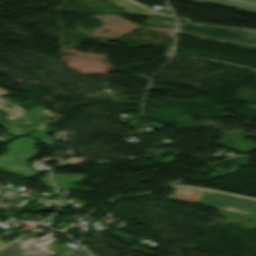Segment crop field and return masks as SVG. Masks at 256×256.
I'll return each instance as SVG.
<instances>
[{"label": "crop field", "mask_w": 256, "mask_h": 256, "mask_svg": "<svg viewBox=\"0 0 256 256\" xmlns=\"http://www.w3.org/2000/svg\"><path fill=\"white\" fill-rule=\"evenodd\" d=\"M242 30L256 32L255 30L218 27L197 23V25L179 24V34L204 40L234 44Z\"/></svg>", "instance_id": "8a807250"}, {"label": "crop field", "mask_w": 256, "mask_h": 256, "mask_svg": "<svg viewBox=\"0 0 256 256\" xmlns=\"http://www.w3.org/2000/svg\"><path fill=\"white\" fill-rule=\"evenodd\" d=\"M201 204L256 215V201L206 190Z\"/></svg>", "instance_id": "ac0d7876"}, {"label": "crop field", "mask_w": 256, "mask_h": 256, "mask_svg": "<svg viewBox=\"0 0 256 256\" xmlns=\"http://www.w3.org/2000/svg\"><path fill=\"white\" fill-rule=\"evenodd\" d=\"M114 3L122 6L133 16H150V17H160V18H171L170 15L155 12L139 3L132 0H112Z\"/></svg>", "instance_id": "34b2d1b8"}, {"label": "crop field", "mask_w": 256, "mask_h": 256, "mask_svg": "<svg viewBox=\"0 0 256 256\" xmlns=\"http://www.w3.org/2000/svg\"><path fill=\"white\" fill-rule=\"evenodd\" d=\"M197 3H211L256 14V0H188Z\"/></svg>", "instance_id": "412701ff"}, {"label": "crop field", "mask_w": 256, "mask_h": 256, "mask_svg": "<svg viewBox=\"0 0 256 256\" xmlns=\"http://www.w3.org/2000/svg\"><path fill=\"white\" fill-rule=\"evenodd\" d=\"M0 256H42L26 253L17 243L13 242L0 250ZM63 256H89L81 247L64 254Z\"/></svg>", "instance_id": "f4fd0767"}, {"label": "crop field", "mask_w": 256, "mask_h": 256, "mask_svg": "<svg viewBox=\"0 0 256 256\" xmlns=\"http://www.w3.org/2000/svg\"><path fill=\"white\" fill-rule=\"evenodd\" d=\"M84 177L85 175L78 174H52V178L55 181L57 188L65 190H74ZM72 182L77 184H71Z\"/></svg>", "instance_id": "dd49c442"}, {"label": "crop field", "mask_w": 256, "mask_h": 256, "mask_svg": "<svg viewBox=\"0 0 256 256\" xmlns=\"http://www.w3.org/2000/svg\"><path fill=\"white\" fill-rule=\"evenodd\" d=\"M204 190L190 188H176L172 200L199 203Z\"/></svg>", "instance_id": "e52e79f7"}, {"label": "crop field", "mask_w": 256, "mask_h": 256, "mask_svg": "<svg viewBox=\"0 0 256 256\" xmlns=\"http://www.w3.org/2000/svg\"><path fill=\"white\" fill-rule=\"evenodd\" d=\"M0 111L6 114V118L14 120L25 114V110L0 97Z\"/></svg>", "instance_id": "d8731c3e"}, {"label": "crop field", "mask_w": 256, "mask_h": 256, "mask_svg": "<svg viewBox=\"0 0 256 256\" xmlns=\"http://www.w3.org/2000/svg\"><path fill=\"white\" fill-rule=\"evenodd\" d=\"M235 44L256 47V33L243 31Z\"/></svg>", "instance_id": "5a996713"}, {"label": "crop field", "mask_w": 256, "mask_h": 256, "mask_svg": "<svg viewBox=\"0 0 256 256\" xmlns=\"http://www.w3.org/2000/svg\"><path fill=\"white\" fill-rule=\"evenodd\" d=\"M51 248H52V247H51ZM51 250H54V251H56V252H59V253L64 254V253H66L69 249H67L66 247H62V246L56 245V246H54Z\"/></svg>", "instance_id": "3316defc"}, {"label": "crop field", "mask_w": 256, "mask_h": 256, "mask_svg": "<svg viewBox=\"0 0 256 256\" xmlns=\"http://www.w3.org/2000/svg\"><path fill=\"white\" fill-rule=\"evenodd\" d=\"M7 122H9V120L3 117V114L0 113V126Z\"/></svg>", "instance_id": "28ad6ade"}, {"label": "crop field", "mask_w": 256, "mask_h": 256, "mask_svg": "<svg viewBox=\"0 0 256 256\" xmlns=\"http://www.w3.org/2000/svg\"><path fill=\"white\" fill-rule=\"evenodd\" d=\"M4 94H8V92L0 88V95H4Z\"/></svg>", "instance_id": "d1516ede"}, {"label": "crop field", "mask_w": 256, "mask_h": 256, "mask_svg": "<svg viewBox=\"0 0 256 256\" xmlns=\"http://www.w3.org/2000/svg\"><path fill=\"white\" fill-rule=\"evenodd\" d=\"M3 245H5V243L0 242V247H2Z\"/></svg>", "instance_id": "22f410ed"}]
</instances>
